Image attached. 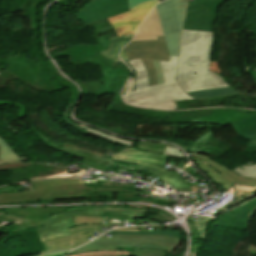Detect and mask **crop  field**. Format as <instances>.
<instances>
[{
    "label": "crop field",
    "instance_id": "obj_1",
    "mask_svg": "<svg viewBox=\"0 0 256 256\" xmlns=\"http://www.w3.org/2000/svg\"><path fill=\"white\" fill-rule=\"evenodd\" d=\"M213 32L183 30L177 66V80L186 91L228 86L209 71Z\"/></svg>",
    "mask_w": 256,
    "mask_h": 256
},
{
    "label": "crop field",
    "instance_id": "obj_2",
    "mask_svg": "<svg viewBox=\"0 0 256 256\" xmlns=\"http://www.w3.org/2000/svg\"><path fill=\"white\" fill-rule=\"evenodd\" d=\"M136 71V88L132 93L123 95L124 100L132 105L175 109L174 100H192L175 80L177 56H170V62L160 61L165 84L148 88L147 76L139 60L128 62Z\"/></svg>",
    "mask_w": 256,
    "mask_h": 256
},
{
    "label": "crop field",
    "instance_id": "obj_3",
    "mask_svg": "<svg viewBox=\"0 0 256 256\" xmlns=\"http://www.w3.org/2000/svg\"><path fill=\"white\" fill-rule=\"evenodd\" d=\"M35 191L0 194V204L37 202L38 200H60L101 196L102 191H117L127 189L117 188H89L83 185L79 178L50 179L33 182ZM130 193H122L121 197L127 199L138 195V192L129 190ZM109 198H113L108 196Z\"/></svg>",
    "mask_w": 256,
    "mask_h": 256
},
{
    "label": "crop field",
    "instance_id": "obj_4",
    "mask_svg": "<svg viewBox=\"0 0 256 256\" xmlns=\"http://www.w3.org/2000/svg\"><path fill=\"white\" fill-rule=\"evenodd\" d=\"M102 212H115L118 214H126L129 216L141 218L144 213V210L106 207L68 209L57 215L42 220L46 227L37 229L40 236V240L43 241L54 237L70 235L67 227L74 226L71 220V217L73 216H100Z\"/></svg>",
    "mask_w": 256,
    "mask_h": 256
},
{
    "label": "crop field",
    "instance_id": "obj_5",
    "mask_svg": "<svg viewBox=\"0 0 256 256\" xmlns=\"http://www.w3.org/2000/svg\"><path fill=\"white\" fill-rule=\"evenodd\" d=\"M180 239L159 235H120L115 238L100 237L99 239L84 245L76 250L123 247V248H149L172 252L179 243ZM74 250V251H76Z\"/></svg>",
    "mask_w": 256,
    "mask_h": 256
},
{
    "label": "crop field",
    "instance_id": "obj_6",
    "mask_svg": "<svg viewBox=\"0 0 256 256\" xmlns=\"http://www.w3.org/2000/svg\"><path fill=\"white\" fill-rule=\"evenodd\" d=\"M114 158L138 162V170L151 171L152 174L167 182L176 191L191 192L184 179L172 172L162 170L167 160L166 156L145 153L130 148L127 151L115 154Z\"/></svg>",
    "mask_w": 256,
    "mask_h": 256
},
{
    "label": "crop field",
    "instance_id": "obj_7",
    "mask_svg": "<svg viewBox=\"0 0 256 256\" xmlns=\"http://www.w3.org/2000/svg\"><path fill=\"white\" fill-rule=\"evenodd\" d=\"M185 3L186 0H165L156 6L170 55L178 52Z\"/></svg>",
    "mask_w": 256,
    "mask_h": 256
},
{
    "label": "crop field",
    "instance_id": "obj_8",
    "mask_svg": "<svg viewBox=\"0 0 256 256\" xmlns=\"http://www.w3.org/2000/svg\"><path fill=\"white\" fill-rule=\"evenodd\" d=\"M157 38L158 40L130 42L124 47L129 60L141 59L147 71L149 87L157 84L151 60L169 61V53L163 36Z\"/></svg>",
    "mask_w": 256,
    "mask_h": 256
},
{
    "label": "crop field",
    "instance_id": "obj_9",
    "mask_svg": "<svg viewBox=\"0 0 256 256\" xmlns=\"http://www.w3.org/2000/svg\"><path fill=\"white\" fill-rule=\"evenodd\" d=\"M226 0H193L187 3L183 29L213 31L216 9Z\"/></svg>",
    "mask_w": 256,
    "mask_h": 256
},
{
    "label": "crop field",
    "instance_id": "obj_10",
    "mask_svg": "<svg viewBox=\"0 0 256 256\" xmlns=\"http://www.w3.org/2000/svg\"><path fill=\"white\" fill-rule=\"evenodd\" d=\"M190 156L209 178H211L225 190L234 183L251 186L256 185V179L243 178L235 174L230 169L211 160L207 156H202L198 154H192Z\"/></svg>",
    "mask_w": 256,
    "mask_h": 256
},
{
    "label": "crop field",
    "instance_id": "obj_11",
    "mask_svg": "<svg viewBox=\"0 0 256 256\" xmlns=\"http://www.w3.org/2000/svg\"><path fill=\"white\" fill-rule=\"evenodd\" d=\"M128 11L127 0H91L78 16L88 24Z\"/></svg>",
    "mask_w": 256,
    "mask_h": 256
},
{
    "label": "crop field",
    "instance_id": "obj_12",
    "mask_svg": "<svg viewBox=\"0 0 256 256\" xmlns=\"http://www.w3.org/2000/svg\"><path fill=\"white\" fill-rule=\"evenodd\" d=\"M156 3H158L157 0L147 1L130 9L127 13L108 18V20L115 28L118 36L122 34H133L135 28L140 24Z\"/></svg>",
    "mask_w": 256,
    "mask_h": 256
},
{
    "label": "crop field",
    "instance_id": "obj_13",
    "mask_svg": "<svg viewBox=\"0 0 256 256\" xmlns=\"http://www.w3.org/2000/svg\"><path fill=\"white\" fill-rule=\"evenodd\" d=\"M160 35L163 34L158 19L157 11L156 8L154 7V9L145 19V21L136 30L135 37L132 41L157 39L156 36Z\"/></svg>",
    "mask_w": 256,
    "mask_h": 256
},
{
    "label": "crop field",
    "instance_id": "obj_14",
    "mask_svg": "<svg viewBox=\"0 0 256 256\" xmlns=\"http://www.w3.org/2000/svg\"><path fill=\"white\" fill-rule=\"evenodd\" d=\"M87 242H88L87 238L85 236H82L81 234L55 238V239L42 242L47 251L41 252L39 254H43V253L54 251V250L73 249Z\"/></svg>",
    "mask_w": 256,
    "mask_h": 256
},
{
    "label": "crop field",
    "instance_id": "obj_15",
    "mask_svg": "<svg viewBox=\"0 0 256 256\" xmlns=\"http://www.w3.org/2000/svg\"><path fill=\"white\" fill-rule=\"evenodd\" d=\"M71 105L72 103H68L67 107L65 108L64 112H63V118H64V121L71 127H73L74 129L84 133L85 135H89L90 133L94 134V135H97V136H100L106 140H109V141H113V142H117V143H121V144H124V145H127V146H130L132 147L134 145V143L136 141L134 140H128V139H123V138H119V137H115V136H112V135H109V134H106V133H103L101 131H98V130H95L93 128H90V127H87L85 125H82V124H74L72 123L68 118V113L70 111V108H71Z\"/></svg>",
    "mask_w": 256,
    "mask_h": 256
},
{
    "label": "crop field",
    "instance_id": "obj_16",
    "mask_svg": "<svg viewBox=\"0 0 256 256\" xmlns=\"http://www.w3.org/2000/svg\"><path fill=\"white\" fill-rule=\"evenodd\" d=\"M231 126L238 136L249 140L246 148L256 147V113L245 120L231 124Z\"/></svg>",
    "mask_w": 256,
    "mask_h": 256
},
{
    "label": "crop field",
    "instance_id": "obj_17",
    "mask_svg": "<svg viewBox=\"0 0 256 256\" xmlns=\"http://www.w3.org/2000/svg\"><path fill=\"white\" fill-rule=\"evenodd\" d=\"M46 145L53 148V149H57V150H59L63 153L70 154V155L75 156V157L83 158L84 159L83 164H85V165H87L91 168H94L96 170L106 172L107 166L116 167L115 162L112 159H108L107 161H103V160L96 159L93 156H89V155H85V154H81V153H77V152H73V151H69V150H65V149H61V148H57V147L51 146L47 143H46Z\"/></svg>",
    "mask_w": 256,
    "mask_h": 256
},
{
    "label": "crop field",
    "instance_id": "obj_18",
    "mask_svg": "<svg viewBox=\"0 0 256 256\" xmlns=\"http://www.w3.org/2000/svg\"><path fill=\"white\" fill-rule=\"evenodd\" d=\"M132 39V35H127L124 37H115V38H110V48L109 51H104L101 52L103 56L113 60L114 62L119 63L120 60L118 58L117 53L119 50L125 46L130 40Z\"/></svg>",
    "mask_w": 256,
    "mask_h": 256
},
{
    "label": "crop field",
    "instance_id": "obj_19",
    "mask_svg": "<svg viewBox=\"0 0 256 256\" xmlns=\"http://www.w3.org/2000/svg\"><path fill=\"white\" fill-rule=\"evenodd\" d=\"M236 93L238 92H236L233 88L224 87V88H218V89L207 90V91L192 92L188 94L196 99H205V98L223 96L228 94H236Z\"/></svg>",
    "mask_w": 256,
    "mask_h": 256
},
{
    "label": "crop field",
    "instance_id": "obj_20",
    "mask_svg": "<svg viewBox=\"0 0 256 256\" xmlns=\"http://www.w3.org/2000/svg\"><path fill=\"white\" fill-rule=\"evenodd\" d=\"M165 146L174 147L172 145L163 144V143H155V142H141L138 141L136 145L133 147L135 149L150 152V153H156V154H164ZM176 148V147H174Z\"/></svg>",
    "mask_w": 256,
    "mask_h": 256
},
{
    "label": "crop field",
    "instance_id": "obj_21",
    "mask_svg": "<svg viewBox=\"0 0 256 256\" xmlns=\"http://www.w3.org/2000/svg\"><path fill=\"white\" fill-rule=\"evenodd\" d=\"M25 158H19L13 149L6 143L4 139L0 137V161L2 162H12V161H22Z\"/></svg>",
    "mask_w": 256,
    "mask_h": 256
},
{
    "label": "crop field",
    "instance_id": "obj_22",
    "mask_svg": "<svg viewBox=\"0 0 256 256\" xmlns=\"http://www.w3.org/2000/svg\"><path fill=\"white\" fill-rule=\"evenodd\" d=\"M30 127L33 129V131L37 134V136H39L42 140L44 141H48L50 142V140L45 137L43 134L39 133L38 131L35 130V128L32 126V124L30 125ZM51 143V142H50ZM53 144V143H52ZM56 145V144H54ZM59 146V145H57ZM62 147H65V148H68V149H72V150H76V151H81V152H85V153H90V154H94L96 155L97 157L101 158V159H104V158H107L105 154H101V153H96L94 151H90V150H85V149H82L78 146H75V145H71V144H65V145H60Z\"/></svg>",
    "mask_w": 256,
    "mask_h": 256
},
{
    "label": "crop field",
    "instance_id": "obj_23",
    "mask_svg": "<svg viewBox=\"0 0 256 256\" xmlns=\"http://www.w3.org/2000/svg\"><path fill=\"white\" fill-rule=\"evenodd\" d=\"M153 232H115V231H110L108 233H120V234H159V235H167V236H173L181 239L182 232H177V231H171V230H166V231H159V230H152Z\"/></svg>",
    "mask_w": 256,
    "mask_h": 256
},
{
    "label": "crop field",
    "instance_id": "obj_24",
    "mask_svg": "<svg viewBox=\"0 0 256 256\" xmlns=\"http://www.w3.org/2000/svg\"><path fill=\"white\" fill-rule=\"evenodd\" d=\"M210 218L203 217L202 219L198 220L197 222L192 221L198 235L202 240L205 238L207 224L209 223Z\"/></svg>",
    "mask_w": 256,
    "mask_h": 256
},
{
    "label": "crop field",
    "instance_id": "obj_25",
    "mask_svg": "<svg viewBox=\"0 0 256 256\" xmlns=\"http://www.w3.org/2000/svg\"><path fill=\"white\" fill-rule=\"evenodd\" d=\"M241 168H235L233 171L243 177L256 178V164L250 166H241Z\"/></svg>",
    "mask_w": 256,
    "mask_h": 256
},
{
    "label": "crop field",
    "instance_id": "obj_26",
    "mask_svg": "<svg viewBox=\"0 0 256 256\" xmlns=\"http://www.w3.org/2000/svg\"><path fill=\"white\" fill-rule=\"evenodd\" d=\"M168 254L159 250L134 249L131 256H167Z\"/></svg>",
    "mask_w": 256,
    "mask_h": 256
},
{
    "label": "crop field",
    "instance_id": "obj_27",
    "mask_svg": "<svg viewBox=\"0 0 256 256\" xmlns=\"http://www.w3.org/2000/svg\"><path fill=\"white\" fill-rule=\"evenodd\" d=\"M54 173H56L55 175H51V176H45V177H39V178H52V177H65V176H79V175H83V173L86 170L80 169L79 173H71V174H67L68 168H62V169H56V170H50ZM39 178H32L30 180H34V179H39Z\"/></svg>",
    "mask_w": 256,
    "mask_h": 256
},
{
    "label": "crop field",
    "instance_id": "obj_28",
    "mask_svg": "<svg viewBox=\"0 0 256 256\" xmlns=\"http://www.w3.org/2000/svg\"><path fill=\"white\" fill-rule=\"evenodd\" d=\"M234 188H235V199L245 196L256 190V186L251 187V186L236 185V184H234Z\"/></svg>",
    "mask_w": 256,
    "mask_h": 256
},
{
    "label": "crop field",
    "instance_id": "obj_29",
    "mask_svg": "<svg viewBox=\"0 0 256 256\" xmlns=\"http://www.w3.org/2000/svg\"><path fill=\"white\" fill-rule=\"evenodd\" d=\"M106 225H84L79 227L68 228L70 234L87 232V231H99L98 227H104Z\"/></svg>",
    "mask_w": 256,
    "mask_h": 256
},
{
    "label": "crop field",
    "instance_id": "obj_30",
    "mask_svg": "<svg viewBox=\"0 0 256 256\" xmlns=\"http://www.w3.org/2000/svg\"><path fill=\"white\" fill-rule=\"evenodd\" d=\"M75 226L83 225V224H97L100 221V217H74L72 218Z\"/></svg>",
    "mask_w": 256,
    "mask_h": 256
},
{
    "label": "crop field",
    "instance_id": "obj_31",
    "mask_svg": "<svg viewBox=\"0 0 256 256\" xmlns=\"http://www.w3.org/2000/svg\"><path fill=\"white\" fill-rule=\"evenodd\" d=\"M33 164H22V163H6L0 165V170H5V169H17V168H23L27 166H31Z\"/></svg>",
    "mask_w": 256,
    "mask_h": 256
},
{
    "label": "crop field",
    "instance_id": "obj_32",
    "mask_svg": "<svg viewBox=\"0 0 256 256\" xmlns=\"http://www.w3.org/2000/svg\"><path fill=\"white\" fill-rule=\"evenodd\" d=\"M164 155L180 157V158H183V156H184L179 149H173V148H169V147H166V151H165Z\"/></svg>",
    "mask_w": 256,
    "mask_h": 256
},
{
    "label": "crop field",
    "instance_id": "obj_33",
    "mask_svg": "<svg viewBox=\"0 0 256 256\" xmlns=\"http://www.w3.org/2000/svg\"><path fill=\"white\" fill-rule=\"evenodd\" d=\"M153 63H154L155 71H156L158 84L164 83L161 68H160V65H159V61H153Z\"/></svg>",
    "mask_w": 256,
    "mask_h": 256
},
{
    "label": "crop field",
    "instance_id": "obj_34",
    "mask_svg": "<svg viewBox=\"0 0 256 256\" xmlns=\"http://www.w3.org/2000/svg\"><path fill=\"white\" fill-rule=\"evenodd\" d=\"M134 88H135V79L134 78H131L126 86V89H125V93H128V92H131V91H134Z\"/></svg>",
    "mask_w": 256,
    "mask_h": 256
},
{
    "label": "crop field",
    "instance_id": "obj_35",
    "mask_svg": "<svg viewBox=\"0 0 256 256\" xmlns=\"http://www.w3.org/2000/svg\"><path fill=\"white\" fill-rule=\"evenodd\" d=\"M116 249H117V248L85 250V251L71 252V253H69V254L87 253V252H93V251H116ZM69 254H68V255H69Z\"/></svg>",
    "mask_w": 256,
    "mask_h": 256
},
{
    "label": "crop field",
    "instance_id": "obj_36",
    "mask_svg": "<svg viewBox=\"0 0 256 256\" xmlns=\"http://www.w3.org/2000/svg\"><path fill=\"white\" fill-rule=\"evenodd\" d=\"M254 193H256V192H254ZM254 193L249 194V195H247V196H245V197H242V198H240V199L234 201L232 204H230L229 206H227V207H226L225 209H223L222 211H225V210L228 209L229 207L234 206V205L238 204L239 202H241V201H243V200L249 198V197L252 196ZM222 211H221V212H222ZM221 212H220V213H221ZM218 214H219V213H218Z\"/></svg>",
    "mask_w": 256,
    "mask_h": 256
},
{
    "label": "crop field",
    "instance_id": "obj_37",
    "mask_svg": "<svg viewBox=\"0 0 256 256\" xmlns=\"http://www.w3.org/2000/svg\"><path fill=\"white\" fill-rule=\"evenodd\" d=\"M147 0H128V4H129V9L135 5H138L142 2H145Z\"/></svg>",
    "mask_w": 256,
    "mask_h": 256
},
{
    "label": "crop field",
    "instance_id": "obj_38",
    "mask_svg": "<svg viewBox=\"0 0 256 256\" xmlns=\"http://www.w3.org/2000/svg\"><path fill=\"white\" fill-rule=\"evenodd\" d=\"M70 251H59V252H53V253H49L43 256H54V255H59V254H64V253H68Z\"/></svg>",
    "mask_w": 256,
    "mask_h": 256
},
{
    "label": "crop field",
    "instance_id": "obj_39",
    "mask_svg": "<svg viewBox=\"0 0 256 256\" xmlns=\"http://www.w3.org/2000/svg\"><path fill=\"white\" fill-rule=\"evenodd\" d=\"M120 58L123 60V61H128V59L126 58L125 54H124V50L121 51L120 53Z\"/></svg>",
    "mask_w": 256,
    "mask_h": 256
},
{
    "label": "crop field",
    "instance_id": "obj_40",
    "mask_svg": "<svg viewBox=\"0 0 256 256\" xmlns=\"http://www.w3.org/2000/svg\"><path fill=\"white\" fill-rule=\"evenodd\" d=\"M116 231H138L137 229H116Z\"/></svg>",
    "mask_w": 256,
    "mask_h": 256
},
{
    "label": "crop field",
    "instance_id": "obj_41",
    "mask_svg": "<svg viewBox=\"0 0 256 256\" xmlns=\"http://www.w3.org/2000/svg\"><path fill=\"white\" fill-rule=\"evenodd\" d=\"M162 0H159V2H161Z\"/></svg>",
    "mask_w": 256,
    "mask_h": 256
},
{
    "label": "crop field",
    "instance_id": "obj_42",
    "mask_svg": "<svg viewBox=\"0 0 256 256\" xmlns=\"http://www.w3.org/2000/svg\"><path fill=\"white\" fill-rule=\"evenodd\" d=\"M135 228H138V227H135Z\"/></svg>",
    "mask_w": 256,
    "mask_h": 256
},
{
    "label": "crop field",
    "instance_id": "obj_43",
    "mask_svg": "<svg viewBox=\"0 0 256 256\" xmlns=\"http://www.w3.org/2000/svg\"><path fill=\"white\" fill-rule=\"evenodd\" d=\"M0 164H2V163H0Z\"/></svg>",
    "mask_w": 256,
    "mask_h": 256
}]
</instances>
